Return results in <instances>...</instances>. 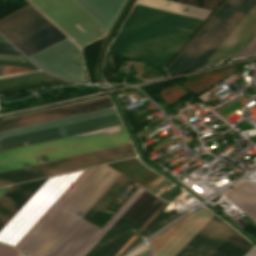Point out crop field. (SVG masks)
Instances as JSON below:
<instances>
[{"instance_id":"obj_1","label":"crop field","mask_w":256,"mask_h":256,"mask_svg":"<svg viewBox=\"0 0 256 256\" xmlns=\"http://www.w3.org/2000/svg\"><path fill=\"white\" fill-rule=\"evenodd\" d=\"M120 175L99 166L23 251L36 256H85L144 191L139 188L101 229L80 216L102 196Z\"/></svg>"},{"instance_id":"obj_2","label":"crop field","mask_w":256,"mask_h":256,"mask_svg":"<svg viewBox=\"0 0 256 256\" xmlns=\"http://www.w3.org/2000/svg\"><path fill=\"white\" fill-rule=\"evenodd\" d=\"M201 22L135 4L108 52L165 66Z\"/></svg>"},{"instance_id":"obj_3","label":"crop field","mask_w":256,"mask_h":256,"mask_svg":"<svg viewBox=\"0 0 256 256\" xmlns=\"http://www.w3.org/2000/svg\"><path fill=\"white\" fill-rule=\"evenodd\" d=\"M113 105L109 97L0 121V131ZM122 124L114 106L0 132V147L29 144Z\"/></svg>"},{"instance_id":"obj_4","label":"crop field","mask_w":256,"mask_h":256,"mask_svg":"<svg viewBox=\"0 0 256 256\" xmlns=\"http://www.w3.org/2000/svg\"><path fill=\"white\" fill-rule=\"evenodd\" d=\"M97 167L49 177L0 231V243L22 250Z\"/></svg>"},{"instance_id":"obj_5","label":"crop field","mask_w":256,"mask_h":256,"mask_svg":"<svg viewBox=\"0 0 256 256\" xmlns=\"http://www.w3.org/2000/svg\"><path fill=\"white\" fill-rule=\"evenodd\" d=\"M81 48L105 35L122 0H29Z\"/></svg>"},{"instance_id":"obj_6","label":"crop field","mask_w":256,"mask_h":256,"mask_svg":"<svg viewBox=\"0 0 256 256\" xmlns=\"http://www.w3.org/2000/svg\"><path fill=\"white\" fill-rule=\"evenodd\" d=\"M122 125L0 152V172L38 164L34 156L49 160L128 142Z\"/></svg>"},{"instance_id":"obj_7","label":"crop field","mask_w":256,"mask_h":256,"mask_svg":"<svg viewBox=\"0 0 256 256\" xmlns=\"http://www.w3.org/2000/svg\"><path fill=\"white\" fill-rule=\"evenodd\" d=\"M255 3L256 0H227L170 65L168 73L200 68Z\"/></svg>"},{"instance_id":"obj_8","label":"crop field","mask_w":256,"mask_h":256,"mask_svg":"<svg viewBox=\"0 0 256 256\" xmlns=\"http://www.w3.org/2000/svg\"><path fill=\"white\" fill-rule=\"evenodd\" d=\"M135 156L130 144L0 173V186Z\"/></svg>"},{"instance_id":"obj_9","label":"crop field","mask_w":256,"mask_h":256,"mask_svg":"<svg viewBox=\"0 0 256 256\" xmlns=\"http://www.w3.org/2000/svg\"><path fill=\"white\" fill-rule=\"evenodd\" d=\"M30 58L41 68L67 79L85 81L80 50L64 39Z\"/></svg>"},{"instance_id":"obj_10","label":"crop field","mask_w":256,"mask_h":256,"mask_svg":"<svg viewBox=\"0 0 256 256\" xmlns=\"http://www.w3.org/2000/svg\"><path fill=\"white\" fill-rule=\"evenodd\" d=\"M234 231L214 215L175 256H211Z\"/></svg>"},{"instance_id":"obj_11","label":"crop field","mask_w":256,"mask_h":256,"mask_svg":"<svg viewBox=\"0 0 256 256\" xmlns=\"http://www.w3.org/2000/svg\"><path fill=\"white\" fill-rule=\"evenodd\" d=\"M256 35V5L223 41L202 67L217 64L226 57H237Z\"/></svg>"},{"instance_id":"obj_12","label":"crop field","mask_w":256,"mask_h":256,"mask_svg":"<svg viewBox=\"0 0 256 256\" xmlns=\"http://www.w3.org/2000/svg\"><path fill=\"white\" fill-rule=\"evenodd\" d=\"M51 24L30 4L1 18L0 32L12 43Z\"/></svg>"},{"instance_id":"obj_13","label":"crop field","mask_w":256,"mask_h":256,"mask_svg":"<svg viewBox=\"0 0 256 256\" xmlns=\"http://www.w3.org/2000/svg\"><path fill=\"white\" fill-rule=\"evenodd\" d=\"M47 178L15 184L7 190L0 198V230Z\"/></svg>"},{"instance_id":"obj_14","label":"crop field","mask_w":256,"mask_h":256,"mask_svg":"<svg viewBox=\"0 0 256 256\" xmlns=\"http://www.w3.org/2000/svg\"><path fill=\"white\" fill-rule=\"evenodd\" d=\"M132 226L138 230L142 224L121 217L86 256H114L134 235Z\"/></svg>"},{"instance_id":"obj_15","label":"crop field","mask_w":256,"mask_h":256,"mask_svg":"<svg viewBox=\"0 0 256 256\" xmlns=\"http://www.w3.org/2000/svg\"><path fill=\"white\" fill-rule=\"evenodd\" d=\"M165 202L144 191L134 204L126 211L123 217L144 224L139 231H142L150 221L162 210Z\"/></svg>"},{"instance_id":"obj_16","label":"crop field","mask_w":256,"mask_h":256,"mask_svg":"<svg viewBox=\"0 0 256 256\" xmlns=\"http://www.w3.org/2000/svg\"><path fill=\"white\" fill-rule=\"evenodd\" d=\"M66 38L53 24L14 43L28 56Z\"/></svg>"},{"instance_id":"obj_17","label":"crop field","mask_w":256,"mask_h":256,"mask_svg":"<svg viewBox=\"0 0 256 256\" xmlns=\"http://www.w3.org/2000/svg\"><path fill=\"white\" fill-rule=\"evenodd\" d=\"M137 3L202 20H204L211 12L210 10L185 5L169 0H138Z\"/></svg>"},{"instance_id":"obj_18","label":"crop field","mask_w":256,"mask_h":256,"mask_svg":"<svg viewBox=\"0 0 256 256\" xmlns=\"http://www.w3.org/2000/svg\"><path fill=\"white\" fill-rule=\"evenodd\" d=\"M130 182L131 181L120 177L84 215V218L93 223Z\"/></svg>"},{"instance_id":"obj_19","label":"crop field","mask_w":256,"mask_h":256,"mask_svg":"<svg viewBox=\"0 0 256 256\" xmlns=\"http://www.w3.org/2000/svg\"><path fill=\"white\" fill-rule=\"evenodd\" d=\"M226 196L256 221V191L249 184L241 185Z\"/></svg>"},{"instance_id":"obj_20","label":"crop field","mask_w":256,"mask_h":256,"mask_svg":"<svg viewBox=\"0 0 256 256\" xmlns=\"http://www.w3.org/2000/svg\"><path fill=\"white\" fill-rule=\"evenodd\" d=\"M252 246L235 231L212 256H243Z\"/></svg>"},{"instance_id":"obj_21","label":"crop field","mask_w":256,"mask_h":256,"mask_svg":"<svg viewBox=\"0 0 256 256\" xmlns=\"http://www.w3.org/2000/svg\"><path fill=\"white\" fill-rule=\"evenodd\" d=\"M39 74V73H38ZM33 75V74H32ZM41 75V74H40ZM35 76V75H34ZM42 76H46V75H42ZM30 77V76H29ZM36 77H41V76H36ZM24 78V77H23ZM31 78H35V77H31ZM51 78V77H48ZM19 79V78H18ZM25 79H30V78H25ZM25 79H19V80H25ZM42 79H46V78H42ZM19 80H14V81H19ZM36 80H40V79H36ZM14 81H8V82H3V83H9V82H14ZM30 81H35V80H30ZM30 81H24V82H18V83H13V84H8V85H3V86H9V85H14V84H19V83H25V82H30ZM0 83V84H3ZM64 82L58 81L56 79H52V80H46V81H40V82H34V83H29V84H23V85H18V86H12V87H6V88H2L0 89V94L2 93H10V92H16V91H20V90H24V89H28V88H34V87H40V86H47V85H54V84H62ZM0 86V87H3Z\"/></svg>"},{"instance_id":"obj_22","label":"crop field","mask_w":256,"mask_h":256,"mask_svg":"<svg viewBox=\"0 0 256 256\" xmlns=\"http://www.w3.org/2000/svg\"><path fill=\"white\" fill-rule=\"evenodd\" d=\"M173 218L160 212L156 218L147 226V228L142 232L144 237L148 236L149 234L153 233L166 223H168Z\"/></svg>"},{"instance_id":"obj_23","label":"crop field","mask_w":256,"mask_h":256,"mask_svg":"<svg viewBox=\"0 0 256 256\" xmlns=\"http://www.w3.org/2000/svg\"><path fill=\"white\" fill-rule=\"evenodd\" d=\"M0 64L35 67L24 56L8 55V54H0Z\"/></svg>"},{"instance_id":"obj_24","label":"crop field","mask_w":256,"mask_h":256,"mask_svg":"<svg viewBox=\"0 0 256 256\" xmlns=\"http://www.w3.org/2000/svg\"><path fill=\"white\" fill-rule=\"evenodd\" d=\"M173 1L190 4V5L210 9V10H213L216 7V5L220 2V0H173Z\"/></svg>"},{"instance_id":"obj_25","label":"crop field","mask_w":256,"mask_h":256,"mask_svg":"<svg viewBox=\"0 0 256 256\" xmlns=\"http://www.w3.org/2000/svg\"><path fill=\"white\" fill-rule=\"evenodd\" d=\"M254 54H256V36L247 45V47L240 53L238 57H245V56L254 55Z\"/></svg>"},{"instance_id":"obj_26","label":"crop field","mask_w":256,"mask_h":256,"mask_svg":"<svg viewBox=\"0 0 256 256\" xmlns=\"http://www.w3.org/2000/svg\"><path fill=\"white\" fill-rule=\"evenodd\" d=\"M18 250L0 244V256H22L18 255Z\"/></svg>"},{"instance_id":"obj_27","label":"crop field","mask_w":256,"mask_h":256,"mask_svg":"<svg viewBox=\"0 0 256 256\" xmlns=\"http://www.w3.org/2000/svg\"><path fill=\"white\" fill-rule=\"evenodd\" d=\"M0 53H8V54H18L22 55L20 52H18L13 46H11L9 43H1L0 42Z\"/></svg>"},{"instance_id":"obj_28","label":"crop field","mask_w":256,"mask_h":256,"mask_svg":"<svg viewBox=\"0 0 256 256\" xmlns=\"http://www.w3.org/2000/svg\"><path fill=\"white\" fill-rule=\"evenodd\" d=\"M244 256H256V248L253 246Z\"/></svg>"},{"instance_id":"obj_29","label":"crop field","mask_w":256,"mask_h":256,"mask_svg":"<svg viewBox=\"0 0 256 256\" xmlns=\"http://www.w3.org/2000/svg\"><path fill=\"white\" fill-rule=\"evenodd\" d=\"M10 186H11V185H10ZM10 186H6V187L0 188V197L6 192V190H7Z\"/></svg>"},{"instance_id":"obj_30","label":"crop field","mask_w":256,"mask_h":256,"mask_svg":"<svg viewBox=\"0 0 256 256\" xmlns=\"http://www.w3.org/2000/svg\"><path fill=\"white\" fill-rule=\"evenodd\" d=\"M154 175H156V174H155V173L152 174L150 177H148L146 180H144V181H143L142 183H140L139 185L144 184L146 181H148V180H149L150 178H152ZM157 176H159V175H157ZM157 176H156V177H157ZM156 177H154V178H156ZM154 178H153V179H154ZM153 179H152V180H153ZM154 180H155V179H154ZM149 182H150V181H149ZM149 182H148V183H149ZM146 183H147V182H146ZM150 183H151V182H150ZM145 185H146V184H145ZM147 185H148V184H147Z\"/></svg>"},{"instance_id":"obj_31","label":"crop field","mask_w":256,"mask_h":256,"mask_svg":"<svg viewBox=\"0 0 256 256\" xmlns=\"http://www.w3.org/2000/svg\"><path fill=\"white\" fill-rule=\"evenodd\" d=\"M5 65H0V76L4 75Z\"/></svg>"},{"instance_id":"obj_32","label":"crop field","mask_w":256,"mask_h":256,"mask_svg":"<svg viewBox=\"0 0 256 256\" xmlns=\"http://www.w3.org/2000/svg\"><path fill=\"white\" fill-rule=\"evenodd\" d=\"M137 256H146V253L143 252V253H141V254H139V255H137Z\"/></svg>"},{"instance_id":"obj_33","label":"crop field","mask_w":256,"mask_h":256,"mask_svg":"<svg viewBox=\"0 0 256 256\" xmlns=\"http://www.w3.org/2000/svg\"><path fill=\"white\" fill-rule=\"evenodd\" d=\"M0 41L7 42V41H5L1 36H0Z\"/></svg>"},{"instance_id":"obj_34","label":"crop field","mask_w":256,"mask_h":256,"mask_svg":"<svg viewBox=\"0 0 256 256\" xmlns=\"http://www.w3.org/2000/svg\"><path fill=\"white\" fill-rule=\"evenodd\" d=\"M124 2H125V0H124Z\"/></svg>"}]
</instances>
